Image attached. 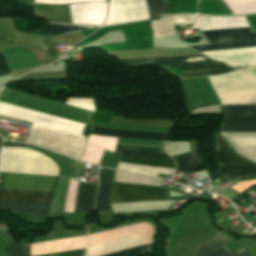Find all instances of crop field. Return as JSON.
Segmentation results:
<instances>
[{
    "label": "crop field",
    "instance_id": "d9b57169",
    "mask_svg": "<svg viewBox=\"0 0 256 256\" xmlns=\"http://www.w3.org/2000/svg\"><path fill=\"white\" fill-rule=\"evenodd\" d=\"M150 246H151V244L146 245V246L137 247V248L128 249V250L109 253V254H105V255H100V256H138L140 254H144V253L148 252L150 249Z\"/></svg>",
    "mask_w": 256,
    "mask_h": 256
},
{
    "label": "crop field",
    "instance_id": "5a996713",
    "mask_svg": "<svg viewBox=\"0 0 256 256\" xmlns=\"http://www.w3.org/2000/svg\"><path fill=\"white\" fill-rule=\"evenodd\" d=\"M107 3H82L70 5L72 23L100 25L105 17Z\"/></svg>",
    "mask_w": 256,
    "mask_h": 256
},
{
    "label": "crop field",
    "instance_id": "ac0d7876",
    "mask_svg": "<svg viewBox=\"0 0 256 256\" xmlns=\"http://www.w3.org/2000/svg\"><path fill=\"white\" fill-rule=\"evenodd\" d=\"M225 122L220 130H256V105L222 106ZM232 147H256V131H219ZM242 156L256 163L255 148H234Z\"/></svg>",
    "mask_w": 256,
    "mask_h": 256
},
{
    "label": "crop field",
    "instance_id": "cbeb9de0",
    "mask_svg": "<svg viewBox=\"0 0 256 256\" xmlns=\"http://www.w3.org/2000/svg\"><path fill=\"white\" fill-rule=\"evenodd\" d=\"M198 256H250L244 247L233 252L225 245L212 249Z\"/></svg>",
    "mask_w": 256,
    "mask_h": 256
},
{
    "label": "crop field",
    "instance_id": "bc2a9ffb",
    "mask_svg": "<svg viewBox=\"0 0 256 256\" xmlns=\"http://www.w3.org/2000/svg\"><path fill=\"white\" fill-rule=\"evenodd\" d=\"M9 69L4 59L3 53H0V76L9 75Z\"/></svg>",
    "mask_w": 256,
    "mask_h": 256
},
{
    "label": "crop field",
    "instance_id": "412701ff",
    "mask_svg": "<svg viewBox=\"0 0 256 256\" xmlns=\"http://www.w3.org/2000/svg\"><path fill=\"white\" fill-rule=\"evenodd\" d=\"M92 134L113 136V137H123V138L157 140V141H167V137H168V134L166 133L115 130V129H105V128H99V127H93ZM116 149L164 153L163 150H157V149L121 147V146H116ZM123 150H116L115 152L121 153L122 155L168 157L166 154H154V153H144V152L123 151ZM137 156H125V158H119L118 161L170 167V168H174L175 166V163L171 158L137 157Z\"/></svg>",
    "mask_w": 256,
    "mask_h": 256
},
{
    "label": "crop field",
    "instance_id": "3316defc",
    "mask_svg": "<svg viewBox=\"0 0 256 256\" xmlns=\"http://www.w3.org/2000/svg\"><path fill=\"white\" fill-rule=\"evenodd\" d=\"M114 171L100 168L99 189L96 198L95 210L110 211L108 208V200L110 193L111 177Z\"/></svg>",
    "mask_w": 256,
    "mask_h": 256
},
{
    "label": "crop field",
    "instance_id": "f4fd0767",
    "mask_svg": "<svg viewBox=\"0 0 256 256\" xmlns=\"http://www.w3.org/2000/svg\"><path fill=\"white\" fill-rule=\"evenodd\" d=\"M210 45L193 46L199 51L256 45V32L249 33V28L217 31H202Z\"/></svg>",
    "mask_w": 256,
    "mask_h": 256
},
{
    "label": "crop field",
    "instance_id": "8a807250",
    "mask_svg": "<svg viewBox=\"0 0 256 256\" xmlns=\"http://www.w3.org/2000/svg\"><path fill=\"white\" fill-rule=\"evenodd\" d=\"M57 176L5 173L0 198L49 203ZM0 199V209L44 217L48 204Z\"/></svg>",
    "mask_w": 256,
    "mask_h": 256
},
{
    "label": "crop field",
    "instance_id": "214f88e0",
    "mask_svg": "<svg viewBox=\"0 0 256 256\" xmlns=\"http://www.w3.org/2000/svg\"><path fill=\"white\" fill-rule=\"evenodd\" d=\"M85 250L82 251H74V252H66V253H58V254H50V255H42V256H83Z\"/></svg>",
    "mask_w": 256,
    "mask_h": 256
},
{
    "label": "crop field",
    "instance_id": "28ad6ade",
    "mask_svg": "<svg viewBox=\"0 0 256 256\" xmlns=\"http://www.w3.org/2000/svg\"><path fill=\"white\" fill-rule=\"evenodd\" d=\"M97 186L78 183L74 212L89 213L94 206Z\"/></svg>",
    "mask_w": 256,
    "mask_h": 256
},
{
    "label": "crop field",
    "instance_id": "34b2d1b8",
    "mask_svg": "<svg viewBox=\"0 0 256 256\" xmlns=\"http://www.w3.org/2000/svg\"><path fill=\"white\" fill-rule=\"evenodd\" d=\"M119 60L124 65H127V66L165 65V64H180V63L211 61L202 55L128 58V59H119ZM160 67L164 68L165 70L173 73L174 75L180 78L215 75V74H221V73L234 70L232 68L225 66L223 63H219V62L165 65Z\"/></svg>",
    "mask_w": 256,
    "mask_h": 256
},
{
    "label": "crop field",
    "instance_id": "d1516ede",
    "mask_svg": "<svg viewBox=\"0 0 256 256\" xmlns=\"http://www.w3.org/2000/svg\"><path fill=\"white\" fill-rule=\"evenodd\" d=\"M177 163V170L195 173L206 171L200 157L196 152L173 158Z\"/></svg>",
    "mask_w": 256,
    "mask_h": 256
},
{
    "label": "crop field",
    "instance_id": "733c2abd",
    "mask_svg": "<svg viewBox=\"0 0 256 256\" xmlns=\"http://www.w3.org/2000/svg\"><path fill=\"white\" fill-rule=\"evenodd\" d=\"M231 240H226V239H220L219 237L215 236L214 238H212L211 240L205 242L198 250H196L191 256H195V255H198L202 252H205L209 249H212L216 246H219L221 244H224V243H228L230 242Z\"/></svg>",
    "mask_w": 256,
    "mask_h": 256
},
{
    "label": "crop field",
    "instance_id": "5142ce71",
    "mask_svg": "<svg viewBox=\"0 0 256 256\" xmlns=\"http://www.w3.org/2000/svg\"><path fill=\"white\" fill-rule=\"evenodd\" d=\"M150 17L168 13L165 0H146Z\"/></svg>",
    "mask_w": 256,
    "mask_h": 256
},
{
    "label": "crop field",
    "instance_id": "d8731c3e",
    "mask_svg": "<svg viewBox=\"0 0 256 256\" xmlns=\"http://www.w3.org/2000/svg\"><path fill=\"white\" fill-rule=\"evenodd\" d=\"M144 0H111L104 25L148 19Z\"/></svg>",
    "mask_w": 256,
    "mask_h": 256
},
{
    "label": "crop field",
    "instance_id": "4a817a6b",
    "mask_svg": "<svg viewBox=\"0 0 256 256\" xmlns=\"http://www.w3.org/2000/svg\"><path fill=\"white\" fill-rule=\"evenodd\" d=\"M29 245H8V256H29Z\"/></svg>",
    "mask_w": 256,
    "mask_h": 256
},
{
    "label": "crop field",
    "instance_id": "e52e79f7",
    "mask_svg": "<svg viewBox=\"0 0 256 256\" xmlns=\"http://www.w3.org/2000/svg\"><path fill=\"white\" fill-rule=\"evenodd\" d=\"M167 201L164 189L113 182L110 203Z\"/></svg>",
    "mask_w": 256,
    "mask_h": 256
},
{
    "label": "crop field",
    "instance_id": "dd49c442",
    "mask_svg": "<svg viewBox=\"0 0 256 256\" xmlns=\"http://www.w3.org/2000/svg\"><path fill=\"white\" fill-rule=\"evenodd\" d=\"M217 137V152L221 159L220 180L256 174V164L239 156L221 137Z\"/></svg>",
    "mask_w": 256,
    "mask_h": 256
},
{
    "label": "crop field",
    "instance_id": "22f410ed",
    "mask_svg": "<svg viewBox=\"0 0 256 256\" xmlns=\"http://www.w3.org/2000/svg\"><path fill=\"white\" fill-rule=\"evenodd\" d=\"M95 28L94 26H74V25H59V24H49L42 27L43 32L49 36H56L64 33L80 31Z\"/></svg>",
    "mask_w": 256,
    "mask_h": 256
}]
</instances>
